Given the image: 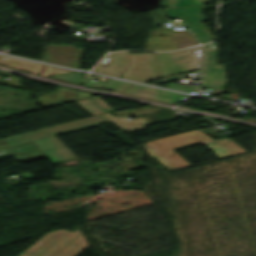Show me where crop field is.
<instances>
[{
    "label": "crop field",
    "mask_w": 256,
    "mask_h": 256,
    "mask_svg": "<svg viewBox=\"0 0 256 256\" xmlns=\"http://www.w3.org/2000/svg\"><path fill=\"white\" fill-rule=\"evenodd\" d=\"M203 142L221 158L244 153L237 144L229 139L212 140L204 133L194 130L174 136H169L146 142L144 147L150 156L170 170H175L189 164L172 149Z\"/></svg>",
    "instance_id": "obj_1"
},
{
    "label": "crop field",
    "mask_w": 256,
    "mask_h": 256,
    "mask_svg": "<svg viewBox=\"0 0 256 256\" xmlns=\"http://www.w3.org/2000/svg\"><path fill=\"white\" fill-rule=\"evenodd\" d=\"M87 247L78 228L75 232L60 229L45 234L18 256H77Z\"/></svg>",
    "instance_id": "obj_2"
},
{
    "label": "crop field",
    "mask_w": 256,
    "mask_h": 256,
    "mask_svg": "<svg viewBox=\"0 0 256 256\" xmlns=\"http://www.w3.org/2000/svg\"><path fill=\"white\" fill-rule=\"evenodd\" d=\"M209 2V0H164L163 6L168 18H181L187 24L201 43L212 39L211 33L203 25L201 8L197 5Z\"/></svg>",
    "instance_id": "obj_3"
},
{
    "label": "crop field",
    "mask_w": 256,
    "mask_h": 256,
    "mask_svg": "<svg viewBox=\"0 0 256 256\" xmlns=\"http://www.w3.org/2000/svg\"><path fill=\"white\" fill-rule=\"evenodd\" d=\"M5 150L9 153L0 156L11 154L15 156L17 160L42 155L40 151H42L53 164L76 158L55 136L13 146Z\"/></svg>",
    "instance_id": "obj_4"
},
{
    "label": "crop field",
    "mask_w": 256,
    "mask_h": 256,
    "mask_svg": "<svg viewBox=\"0 0 256 256\" xmlns=\"http://www.w3.org/2000/svg\"><path fill=\"white\" fill-rule=\"evenodd\" d=\"M201 47L181 51L159 53L155 52L162 78L198 69Z\"/></svg>",
    "instance_id": "obj_5"
},
{
    "label": "crop field",
    "mask_w": 256,
    "mask_h": 256,
    "mask_svg": "<svg viewBox=\"0 0 256 256\" xmlns=\"http://www.w3.org/2000/svg\"><path fill=\"white\" fill-rule=\"evenodd\" d=\"M203 88H226L224 67L217 66V43L203 46L200 61Z\"/></svg>",
    "instance_id": "obj_6"
},
{
    "label": "crop field",
    "mask_w": 256,
    "mask_h": 256,
    "mask_svg": "<svg viewBox=\"0 0 256 256\" xmlns=\"http://www.w3.org/2000/svg\"><path fill=\"white\" fill-rule=\"evenodd\" d=\"M84 50L76 48L74 45L47 46L45 61L80 68V57Z\"/></svg>",
    "instance_id": "obj_7"
},
{
    "label": "crop field",
    "mask_w": 256,
    "mask_h": 256,
    "mask_svg": "<svg viewBox=\"0 0 256 256\" xmlns=\"http://www.w3.org/2000/svg\"><path fill=\"white\" fill-rule=\"evenodd\" d=\"M156 110H160V108L142 107L140 109H134V110L127 109V110L118 111V112L113 111V113L118 115L114 117H112L108 113H105L103 115H105L108 119H110L121 130L127 131V130L149 125L148 123H146V120L143 117L131 119L130 121L126 119L127 117L138 116L140 114H144V113H148Z\"/></svg>",
    "instance_id": "obj_8"
},
{
    "label": "crop field",
    "mask_w": 256,
    "mask_h": 256,
    "mask_svg": "<svg viewBox=\"0 0 256 256\" xmlns=\"http://www.w3.org/2000/svg\"><path fill=\"white\" fill-rule=\"evenodd\" d=\"M194 44L192 36L148 37L145 50H173Z\"/></svg>",
    "instance_id": "obj_9"
},
{
    "label": "crop field",
    "mask_w": 256,
    "mask_h": 256,
    "mask_svg": "<svg viewBox=\"0 0 256 256\" xmlns=\"http://www.w3.org/2000/svg\"><path fill=\"white\" fill-rule=\"evenodd\" d=\"M123 93L129 94V95L145 97V98L161 100V101L172 102V103H178L181 100L188 97L187 95L152 89V88H148V87H144V86H140V85H136V84H133L131 87H129Z\"/></svg>",
    "instance_id": "obj_10"
},
{
    "label": "crop field",
    "mask_w": 256,
    "mask_h": 256,
    "mask_svg": "<svg viewBox=\"0 0 256 256\" xmlns=\"http://www.w3.org/2000/svg\"><path fill=\"white\" fill-rule=\"evenodd\" d=\"M0 65L37 74L43 70V65L0 56Z\"/></svg>",
    "instance_id": "obj_11"
},
{
    "label": "crop field",
    "mask_w": 256,
    "mask_h": 256,
    "mask_svg": "<svg viewBox=\"0 0 256 256\" xmlns=\"http://www.w3.org/2000/svg\"><path fill=\"white\" fill-rule=\"evenodd\" d=\"M75 102L92 116L113 110L97 96L78 100Z\"/></svg>",
    "instance_id": "obj_12"
},
{
    "label": "crop field",
    "mask_w": 256,
    "mask_h": 256,
    "mask_svg": "<svg viewBox=\"0 0 256 256\" xmlns=\"http://www.w3.org/2000/svg\"><path fill=\"white\" fill-rule=\"evenodd\" d=\"M167 88L183 91L189 93L190 91H197L199 88L197 87H191V86H185L181 84H176V83H170Z\"/></svg>",
    "instance_id": "obj_13"
},
{
    "label": "crop field",
    "mask_w": 256,
    "mask_h": 256,
    "mask_svg": "<svg viewBox=\"0 0 256 256\" xmlns=\"http://www.w3.org/2000/svg\"><path fill=\"white\" fill-rule=\"evenodd\" d=\"M65 72H72V71H67V70H63V69L45 65V70L42 73H40L39 75L49 76V75H55V74L65 73Z\"/></svg>",
    "instance_id": "obj_14"
},
{
    "label": "crop field",
    "mask_w": 256,
    "mask_h": 256,
    "mask_svg": "<svg viewBox=\"0 0 256 256\" xmlns=\"http://www.w3.org/2000/svg\"><path fill=\"white\" fill-rule=\"evenodd\" d=\"M180 76H174V77H171V78H167L168 81H171V80H175V79H179Z\"/></svg>",
    "instance_id": "obj_15"
}]
</instances>
